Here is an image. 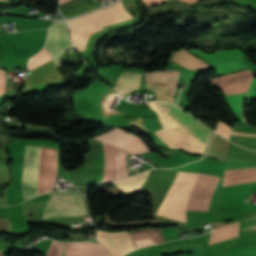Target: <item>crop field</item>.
<instances>
[{"label":"crop field","mask_w":256,"mask_h":256,"mask_svg":"<svg viewBox=\"0 0 256 256\" xmlns=\"http://www.w3.org/2000/svg\"><path fill=\"white\" fill-rule=\"evenodd\" d=\"M220 178L179 172L156 215L185 222L186 210L207 211Z\"/></svg>","instance_id":"obj_1"},{"label":"crop field","mask_w":256,"mask_h":256,"mask_svg":"<svg viewBox=\"0 0 256 256\" xmlns=\"http://www.w3.org/2000/svg\"><path fill=\"white\" fill-rule=\"evenodd\" d=\"M51 196L44 208V218L86 215L82 196L73 193H56Z\"/></svg>","instance_id":"obj_2"},{"label":"crop field","mask_w":256,"mask_h":256,"mask_svg":"<svg viewBox=\"0 0 256 256\" xmlns=\"http://www.w3.org/2000/svg\"><path fill=\"white\" fill-rule=\"evenodd\" d=\"M161 107L165 112L172 116L177 122H179L186 130H188L193 136L199 139L206 146L212 135V132L201 124L194 117L187 114L180 108L165 102H154ZM161 124V122H160ZM162 125V124H161ZM164 128V127H163Z\"/></svg>","instance_id":"obj_3"},{"label":"crop field","mask_w":256,"mask_h":256,"mask_svg":"<svg viewBox=\"0 0 256 256\" xmlns=\"http://www.w3.org/2000/svg\"><path fill=\"white\" fill-rule=\"evenodd\" d=\"M178 76L179 71L174 70L152 71L150 73L145 72V78L169 81L173 96L175 93ZM169 83L164 81L145 79L146 89H151L155 93L157 100L174 102L175 99L171 98L172 95Z\"/></svg>","instance_id":"obj_4"},{"label":"crop field","mask_w":256,"mask_h":256,"mask_svg":"<svg viewBox=\"0 0 256 256\" xmlns=\"http://www.w3.org/2000/svg\"><path fill=\"white\" fill-rule=\"evenodd\" d=\"M192 53L207 61L219 74L245 68L241 60V51L228 50L213 54H206L196 49H190Z\"/></svg>","instance_id":"obj_5"},{"label":"crop field","mask_w":256,"mask_h":256,"mask_svg":"<svg viewBox=\"0 0 256 256\" xmlns=\"http://www.w3.org/2000/svg\"><path fill=\"white\" fill-rule=\"evenodd\" d=\"M130 18H132V16L125 9L122 1H119L113 6L71 21L104 27Z\"/></svg>","instance_id":"obj_6"},{"label":"crop field","mask_w":256,"mask_h":256,"mask_svg":"<svg viewBox=\"0 0 256 256\" xmlns=\"http://www.w3.org/2000/svg\"><path fill=\"white\" fill-rule=\"evenodd\" d=\"M24 192L25 200L39 194V147H26Z\"/></svg>","instance_id":"obj_7"},{"label":"crop field","mask_w":256,"mask_h":256,"mask_svg":"<svg viewBox=\"0 0 256 256\" xmlns=\"http://www.w3.org/2000/svg\"><path fill=\"white\" fill-rule=\"evenodd\" d=\"M104 146L105 182L128 177L126 170L127 153L106 145Z\"/></svg>","instance_id":"obj_8"},{"label":"crop field","mask_w":256,"mask_h":256,"mask_svg":"<svg viewBox=\"0 0 256 256\" xmlns=\"http://www.w3.org/2000/svg\"><path fill=\"white\" fill-rule=\"evenodd\" d=\"M94 139L100 140L111 146L119 147L127 150L133 155L148 152L147 148L140 141V139L132 134L126 133L122 130L115 129L104 135L95 137Z\"/></svg>","instance_id":"obj_9"},{"label":"crop field","mask_w":256,"mask_h":256,"mask_svg":"<svg viewBox=\"0 0 256 256\" xmlns=\"http://www.w3.org/2000/svg\"><path fill=\"white\" fill-rule=\"evenodd\" d=\"M66 22H55L48 34L46 47L55 62L70 47Z\"/></svg>","instance_id":"obj_10"},{"label":"crop field","mask_w":256,"mask_h":256,"mask_svg":"<svg viewBox=\"0 0 256 256\" xmlns=\"http://www.w3.org/2000/svg\"><path fill=\"white\" fill-rule=\"evenodd\" d=\"M252 76L250 70H246L210 79V81L214 86L221 88L224 94L227 95L245 92Z\"/></svg>","instance_id":"obj_11"},{"label":"crop field","mask_w":256,"mask_h":256,"mask_svg":"<svg viewBox=\"0 0 256 256\" xmlns=\"http://www.w3.org/2000/svg\"><path fill=\"white\" fill-rule=\"evenodd\" d=\"M65 256H110L109 252L98 243L65 244Z\"/></svg>","instance_id":"obj_12"},{"label":"crop field","mask_w":256,"mask_h":256,"mask_svg":"<svg viewBox=\"0 0 256 256\" xmlns=\"http://www.w3.org/2000/svg\"><path fill=\"white\" fill-rule=\"evenodd\" d=\"M69 24L71 27L73 42L77 50L80 51L82 55H84L85 46H86L88 37L91 34L101 30V28L86 26L78 23L69 22Z\"/></svg>","instance_id":"obj_13"},{"label":"crop field","mask_w":256,"mask_h":256,"mask_svg":"<svg viewBox=\"0 0 256 256\" xmlns=\"http://www.w3.org/2000/svg\"><path fill=\"white\" fill-rule=\"evenodd\" d=\"M256 181V168L229 170L224 172L222 186Z\"/></svg>","instance_id":"obj_14"},{"label":"crop field","mask_w":256,"mask_h":256,"mask_svg":"<svg viewBox=\"0 0 256 256\" xmlns=\"http://www.w3.org/2000/svg\"><path fill=\"white\" fill-rule=\"evenodd\" d=\"M66 1H69V0H60V4ZM100 6H101L100 3H96V2L87 4L85 0H72L64 4H61L59 6V10L66 18H68Z\"/></svg>","instance_id":"obj_15"},{"label":"crop field","mask_w":256,"mask_h":256,"mask_svg":"<svg viewBox=\"0 0 256 256\" xmlns=\"http://www.w3.org/2000/svg\"><path fill=\"white\" fill-rule=\"evenodd\" d=\"M141 76L142 74L133 72L121 73L114 88L125 99L127 93H129L132 90L139 89Z\"/></svg>","instance_id":"obj_16"},{"label":"crop field","mask_w":256,"mask_h":256,"mask_svg":"<svg viewBox=\"0 0 256 256\" xmlns=\"http://www.w3.org/2000/svg\"><path fill=\"white\" fill-rule=\"evenodd\" d=\"M186 51L183 49L179 52H176L174 54L172 60L191 69V70L204 69V68L210 67L206 63H204L200 59L190 55L191 53L189 54Z\"/></svg>","instance_id":"obj_17"},{"label":"crop field","mask_w":256,"mask_h":256,"mask_svg":"<svg viewBox=\"0 0 256 256\" xmlns=\"http://www.w3.org/2000/svg\"><path fill=\"white\" fill-rule=\"evenodd\" d=\"M153 171H146L126 180L116 182L115 184L124 193H132Z\"/></svg>","instance_id":"obj_18"},{"label":"crop field","mask_w":256,"mask_h":256,"mask_svg":"<svg viewBox=\"0 0 256 256\" xmlns=\"http://www.w3.org/2000/svg\"><path fill=\"white\" fill-rule=\"evenodd\" d=\"M237 235H238V222L228 224L211 233L209 245L237 236Z\"/></svg>","instance_id":"obj_19"},{"label":"crop field","mask_w":256,"mask_h":256,"mask_svg":"<svg viewBox=\"0 0 256 256\" xmlns=\"http://www.w3.org/2000/svg\"><path fill=\"white\" fill-rule=\"evenodd\" d=\"M245 93L238 94V95L225 96L227 103L229 104L230 108L233 110L236 118L240 121H243L241 104L245 96Z\"/></svg>","instance_id":"obj_20"},{"label":"crop field","mask_w":256,"mask_h":256,"mask_svg":"<svg viewBox=\"0 0 256 256\" xmlns=\"http://www.w3.org/2000/svg\"><path fill=\"white\" fill-rule=\"evenodd\" d=\"M132 240L136 248L165 241L162 232L134 238Z\"/></svg>","instance_id":"obj_21"},{"label":"crop field","mask_w":256,"mask_h":256,"mask_svg":"<svg viewBox=\"0 0 256 256\" xmlns=\"http://www.w3.org/2000/svg\"><path fill=\"white\" fill-rule=\"evenodd\" d=\"M51 60L46 48L37 53L28 63V69L31 70L47 61Z\"/></svg>","instance_id":"obj_22"},{"label":"crop field","mask_w":256,"mask_h":256,"mask_svg":"<svg viewBox=\"0 0 256 256\" xmlns=\"http://www.w3.org/2000/svg\"><path fill=\"white\" fill-rule=\"evenodd\" d=\"M231 127H229L228 125H226L225 123L221 122L218 120L217 122V126L215 128V131H217L218 133H220L221 135H223L224 137H226L227 139H229L230 134H238V135H247V136H256V135H250V134H243V133H238V132H233L230 131Z\"/></svg>","instance_id":"obj_23"},{"label":"crop field","mask_w":256,"mask_h":256,"mask_svg":"<svg viewBox=\"0 0 256 256\" xmlns=\"http://www.w3.org/2000/svg\"><path fill=\"white\" fill-rule=\"evenodd\" d=\"M63 249H64V243L54 241L49 251L47 252L46 256H60Z\"/></svg>","instance_id":"obj_24"},{"label":"crop field","mask_w":256,"mask_h":256,"mask_svg":"<svg viewBox=\"0 0 256 256\" xmlns=\"http://www.w3.org/2000/svg\"><path fill=\"white\" fill-rule=\"evenodd\" d=\"M5 75H4V71L0 70V95L4 92L5 89Z\"/></svg>","instance_id":"obj_25"},{"label":"crop field","mask_w":256,"mask_h":256,"mask_svg":"<svg viewBox=\"0 0 256 256\" xmlns=\"http://www.w3.org/2000/svg\"><path fill=\"white\" fill-rule=\"evenodd\" d=\"M256 94V79L253 78L251 84H250V87H249V90H248V93L246 96H249V95H255Z\"/></svg>","instance_id":"obj_26"},{"label":"crop field","mask_w":256,"mask_h":256,"mask_svg":"<svg viewBox=\"0 0 256 256\" xmlns=\"http://www.w3.org/2000/svg\"><path fill=\"white\" fill-rule=\"evenodd\" d=\"M130 125H131V126H132V125H135V126H137V127H140V128L145 129L144 122H143V119H142V118L130 121ZM145 130H146V129H145Z\"/></svg>","instance_id":"obj_27"},{"label":"crop field","mask_w":256,"mask_h":256,"mask_svg":"<svg viewBox=\"0 0 256 256\" xmlns=\"http://www.w3.org/2000/svg\"><path fill=\"white\" fill-rule=\"evenodd\" d=\"M143 1L145 2L146 5H149V4H154V3L162 2V1H165V0H143ZM183 1L193 2L195 0H183Z\"/></svg>","instance_id":"obj_28"},{"label":"crop field","mask_w":256,"mask_h":256,"mask_svg":"<svg viewBox=\"0 0 256 256\" xmlns=\"http://www.w3.org/2000/svg\"><path fill=\"white\" fill-rule=\"evenodd\" d=\"M0 256H4V255H3V252H2L1 250H0Z\"/></svg>","instance_id":"obj_29"},{"label":"crop field","mask_w":256,"mask_h":256,"mask_svg":"<svg viewBox=\"0 0 256 256\" xmlns=\"http://www.w3.org/2000/svg\"><path fill=\"white\" fill-rule=\"evenodd\" d=\"M3 98H4V95H3Z\"/></svg>","instance_id":"obj_30"}]
</instances>
